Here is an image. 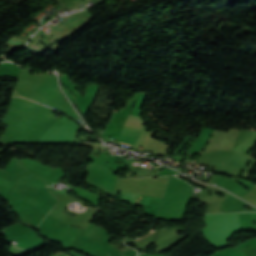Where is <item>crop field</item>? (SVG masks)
I'll use <instances>...</instances> for the list:
<instances>
[{"instance_id": "2", "label": "crop field", "mask_w": 256, "mask_h": 256, "mask_svg": "<svg viewBox=\"0 0 256 256\" xmlns=\"http://www.w3.org/2000/svg\"><path fill=\"white\" fill-rule=\"evenodd\" d=\"M53 39H54V38H53ZM53 39H52V40H53ZM52 40H51V41H52ZM51 41H50V42H51Z\"/></svg>"}, {"instance_id": "1", "label": "crop field", "mask_w": 256, "mask_h": 256, "mask_svg": "<svg viewBox=\"0 0 256 256\" xmlns=\"http://www.w3.org/2000/svg\"><path fill=\"white\" fill-rule=\"evenodd\" d=\"M121 144H125V145H129V146H131L130 144H126V143H122V142H120Z\"/></svg>"}]
</instances>
